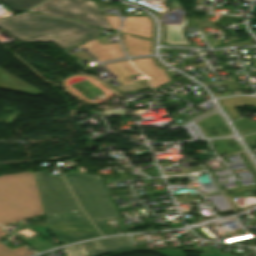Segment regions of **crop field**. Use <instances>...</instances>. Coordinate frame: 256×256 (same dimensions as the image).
Segmentation results:
<instances>
[{"instance_id": "1", "label": "crop field", "mask_w": 256, "mask_h": 256, "mask_svg": "<svg viewBox=\"0 0 256 256\" xmlns=\"http://www.w3.org/2000/svg\"><path fill=\"white\" fill-rule=\"evenodd\" d=\"M34 174L50 235L65 244L100 236L77 206L61 176H50L47 170Z\"/></svg>"}, {"instance_id": "2", "label": "crop field", "mask_w": 256, "mask_h": 256, "mask_svg": "<svg viewBox=\"0 0 256 256\" xmlns=\"http://www.w3.org/2000/svg\"><path fill=\"white\" fill-rule=\"evenodd\" d=\"M0 27L21 42H52L62 49L100 37L95 27L27 12L1 18Z\"/></svg>"}, {"instance_id": "3", "label": "crop field", "mask_w": 256, "mask_h": 256, "mask_svg": "<svg viewBox=\"0 0 256 256\" xmlns=\"http://www.w3.org/2000/svg\"><path fill=\"white\" fill-rule=\"evenodd\" d=\"M63 177L70 186L84 212L104 235L113 233L103 220L119 218L100 177L79 173H64Z\"/></svg>"}, {"instance_id": "4", "label": "crop field", "mask_w": 256, "mask_h": 256, "mask_svg": "<svg viewBox=\"0 0 256 256\" xmlns=\"http://www.w3.org/2000/svg\"><path fill=\"white\" fill-rule=\"evenodd\" d=\"M29 11L79 20L91 26L111 30L93 0H49Z\"/></svg>"}, {"instance_id": "5", "label": "crop field", "mask_w": 256, "mask_h": 256, "mask_svg": "<svg viewBox=\"0 0 256 256\" xmlns=\"http://www.w3.org/2000/svg\"><path fill=\"white\" fill-rule=\"evenodd\" d=\"M0 195L43 214L33 172L0 177Z\"/></svg>"}, {"instance_id": "6", "label": "crop field", "mask_w": 256, "mask_h": 256, "mask_svg": "<svg viewBox=\"0 0 256 256\" xmlns=\"http://www.w3.org/2000/svg\"><path fill=\"white\" fill-rule=\"evenodd\" d=\"M90 256L105 252H119L133 249L127 236L84 243Z\"/></svg>"}, {"instance_id": "7", "label": "crop field", "mask_w": 256, "mask_h": 256, "mask_svg": "<svg viewBox=\"0 0 256 256\" xmlns=\"http://www.w3.org/2000/svg\"><path fill=\"white\" fill-rule=\"evenodd\" d=\"M34 216L38 215L0 196V225L5 226Z\"/></svg>"}, {"instance_id": "8", "label": "crop field", "mask_w": 256, "mask_h": 256, "mask_svg": "<svg viewBox=\"0 0 256 256\" xmlns=\"http://www.w3.org/2000/svg\"><path fill=\"white\" fill-rule=\"evenodd\" d=\"M0 88L13 91H19L30 95H38L39 92L29 84L9 74L0 68Z\"/></svg>"}, {"instance_id": "9", "label": "crop field", "mask_w": 256, "mask_h": 256, "mask_svg": "<svg viewBox=\"0 0 256 256\" xmlns=\"http://www.w3.org/2000/svg\"><path fill=\"white\" fill-rule=\"evenodd\" d=\"M185 18H181L179 24H167L166 27V37L165 40L171 45L187 44L188 41L183 36L182 32L185 27H182V23Z\"/></svg>"}, {"instance_id": "10", "label": "crop field", "mask_w": 256, "mask_h": 256, "mask_svg": "<svg viewBox=\"0 0 256 256\" xmlns=\"http://www.w3.org/2000/svg\"><path fill=\"white\" fill-rule=\"evenodd\" d=\"M16 13L25 11L44 0H0Z\"/></svg>"}, {"instance_id": "11", "label": "crop field", "mask_w": 256, "mask_h": 256, "mask_svg": "<svg viewBox=\"0 0 256 256\" xmlns=\"http://www.w3.org/2000/svg\"><path fill=\"white\" fill-rule=\"evenodd\" d=\"M4 235H6V233L0 227V237H2ZM31 254H34V253L22 246L11 250V249L0 244V256H29Z\"/></svg>"}, {"instance_id": "12", "label": "crop field", "mask_w": 256, "mask_h": 256, "mask_svg": "<svg viewBox=\"0 0 256 256\" xmlns=\"http://www.w3.org/2000/svg\"><path fill=\"white\" fill-rule=\"evenodd\" d=\"M64 251L66 256H88L82 243L66 247Z\"/></svg>"}, {"instance_id": "13", "label": "crop field", "mask_w": 256, "mask_h": 256, "mask_svg": "<svg viewBox=\"0 0 256 256\" xmlns=\"http://www.w3.org/2000/svg\"><path fill=\"white\" fill-rule=\"evenodd\" d=\"M170 6L174 9V8L180 6V5H179V3L177 2V0H172L171 3H170Z\"/></svg>"}]
</instances>
